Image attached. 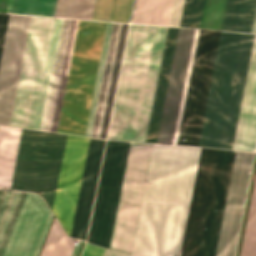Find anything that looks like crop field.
Wrapping results in <instances>:
<instances>
[{"instance_id":"bd1437ed","label":"crop field","mask_w":256,"mask_h":256,"mask_svg":"<svg viewBox=\"0 0 256 256\" xmlns=\"http://www.w3.org/2000/svg\"><path fill=\"white\" fill-rule=\"evenodd\" d=\"M80 246L76 245L75 249H74V252L72 254V256H76L77 252H78V249H79Z\"/></svg>"},{"instance_id":"d3111659","label":"crop field","mask_w":256,"mask_h":256,"mask_svg":"<svg viewBox=\"0 0 256 256\" xmlns=\"http://www.w3.org/2000/svg\"><path fill=\"white\" fill-rule=\"evenodd\" d=\"M12 0H0V12L9 13Z\"/></svg>"},{"instance_id":"ac0d7876","label":"crop field","mask_w":256,"mask_h":256,"mask_svg":"<svg viewBox=\"0 0 256 256\" xmlns=\"http://www.w3.org/2000/svg\"><path fill=\"white\" fill-rule=\"evenodd\" d=\"M200 150L154 144L133 255L180 256Z\"/></svg>"},{"instance_id":"bc2a9ffb","label":"crop field","mask_w":256,"mask_h":256,"mask_svg":"<svg viewBox=\"0 0 256 256\" xmlns=\"http://www.w3.org/2000/svg\"><path fill=\"white\" fill-rule=\"evenodd\" d=\"M27 192L0 188V256Z\"/></svg>"},{"instance_id":"00972430","label":"crop field","mask_w":256,"mask_h":256,"mask_svg":"<svg viewBox=\"0 0 256 256\" xmlns=\"http://www.w3.org/2000/svg\"><path fill=\"white\" fill-rule=\"evenodd\" d=\"M77 240L68 238L54 220L40 256H71Z\"/></svg>"},{"instance_id":"4a817a6b","label":"crop field","mask_w":256,"mask_h":256,"mask_svg":"<svg viewBox=\"0 0 256 256\" xmlns=\"http://www.w3.org/2000/svg\"><path fill=\"white\" fill-rule=\"evenodd\" d=\"M255 10L256 0H227L221 30L251 32ZM252 32L256 33V15Z\"/></svg>"},{"instance_id":"cbeb9de0","label":"crop field","mask_w":256,"mask_h":256,"mask_svg":"<svg viewBox=\"0 0 256 256\" xmlns=\"http://www.w3.org/2000/svg\"><path fill=\"white\" fill-rule=\"evenodd\" d=\"M52 217L43 200L28 192L2 256H37Z\"/></svg>"},{"instance_id":"730fd06b","label":"crop field","mask_w":256,"mask_h":256,"mask_svg":"<svg viewBox=\"0 0 256 256\" xmlns=\"http://www.w3.org/2000/svg\"><path fill=\"white\" fill-rule=\"evenodd\" d=\"M56 0H13L10 13L53 16Z\"/></svg>"},{"instance_id":"412701ff","label":"crop field","mask_w":256,"mask_h":256,"mask_svg":"<svg viewBox=\"0 0 256 256\" xmlns=\"http://www.w3.org/2000/svg\"><path fill=\"white\" fill-rule=\"evenodd\" d=\"M199 30L180 28L157 143L176 145ZM220 32L200 30L177 145L197 146Z\"/></svg>"},{"instance_id":"214f88e0","label":"crop field","mask_w":256,"mask_h":256,"mask_svg":"<svg viewBox=\"0 0 256 256\" xmlns=\"http://www.w3.org/2000/svg\"><path fill=\"white\" fill-rule=\"evenodd\" d=\"M21 129L0 126V186H10Z\"/></svg>"},{"instance_id":"eef30255","label":"crop field","mask_w":256,"mask_h":256,"mask_svg":"<svg viewBox=\"0 0 256 256\" xmlns=\"http://www.w3.org/2000/svg\"><path fill=\"white\" fill-rule=\"evenodd\" d=\"M226 0H207L201 28L220 30Z\"/></svg>"},{"instance_id":"3316defc","label":"crop field","mask_w":256,"mask_h":256,"mask_svg":"<svg viewBox=\"0 0 256 256\" xmlns=\"http://www.w3.org/2000/svg\"><path fill=\"white\" fill-rule=\"evenodd\" d=\"M54 20L31 18L10 126L33 127Z\"/></svg>"},{"instance_id":"750c4746","label":"crop field","mask_w":256,"mask_h":256,"mask_svg":"<svg viewBox=\"0 0 256 256\" xmlns=\"http://www.w3.org/2000/svg\"><path fill=\"white\" fill-rule=\"evenodd\" d=\"M103 256H130V255H125V254H121V253H116L113 252L111 250H105L104 255Z\"/></svg>"},{"instance_id":"34b2d1b8","label":"crop field","mask_w":256,"mask_h":256,"mask_svg":"<svg viewBox=\"0 0 256 256\" xmlns=\"http://www.w3.org/2000/svg\"><path fill=\"white\" fill-rule=\"evenodd\" d=\"M130 143L108 141L87 241L110 246ZM153 144L131 143L111 249L132 252Z\"/></svg>"},{"instance_id":"28ad6ade","label":"crop field","mask_w":256,"mask_h":256,"mask_svg":"<svg viewBox=\"0 0 256 256\" xmlns=\"http://www.w3.org/2000/svg\"><path fill=\"white\" fill-rule=\"evenodd\" d=\"M112 25L113 23H108L107 25L97 80L95 84V89H94V94H93V99H92V104H91V109H90V114H89L86 134H85V136H88V137H90L91 135V130L93 125ZM127 26L128 24H122V23H114L113 25V30H112V35H111V40H110V45H109V50H108V55H107V60H106V65H105V70H104V75H103V80H102V85H101V90H100V95H99L91 137H97V138H103V139H105L106 137Z\"/></svg>"},{"instance_id":"5142ce71","label":"crop field","mask_w":256,"mask_h":256,"mask_svg":"<svg viewBox=\"0 0 256 256\" xmlns=\"http://www.w3.org/2000/svg\"><path fill=\"white\" fill-rule=\"evenodd\" d=\"M216 152L201 150L181 256H196Z\"/></svg>"},{"instance_id":"dafd665d","label":"crop field","mask_w":256,"mask_h":256,"mask_svg":"<svg viewBox=\"0 0 256 256\" xmlns=\"http://www.w3.org/2000/svg\"><path fill=\"white\" fill-rule=\"evenodd\" d=\"M206 0H173L168 26L200 28Z\"/></svg>"},{"instance_id":"5a996713","label":"crop field","mask_w":256,"mask_h":256,"mask_svg":"<svg viewBox=\"0 0 256 256\" xmlns=\"http://www.w3.org/2000/svg\"><path fill=\"white\" fill-rule=\"evenodd\" d=\"M77 22L55 20L33 129L56 132Z\"/></svg>"},{"instance_id":"733c2abd","label":"crop field","mask_w":256,"mask_h":256,"mask_svg":"<svg viewBox=\"0 0 256 256\" xmlns=\"http://www.w3.org/2000/svg\"><path fill=\"white\" fill-rule=\"evenodd\" d=\"M179 28L168 27L145 142L156 143Z\"/></svg>"},{"instance_id":"f4fd0767","label":"crop field","mask_w":256,"mask_h":256,"mask_svg":"<svg viewBox=\"0 0 256 256\" xmlns=\"http://www.w3.org/2000/svg\"><path fill=\"white\" fill-rule=\"evenodd\" d=\"M166 29L131 24L108 139L144 142Z\"/></svg>"},{"instance_id":"e52e79f7","label":"crop field","mask_w":256,"mask_h":256,"mask_svg":"<svg viewBox=\"0 0 256 256\" xmlns=\"http://www.w3.org/2000/svg\"><path fill=\"white\" fill-rule=\"evenodd\" d=\"M106 25L78 22L57 132L84 136Z\"/></svg>"},{"instance_id":"d8731c3e","label":"crop field","mask_w":256,"mask_h":256,"mask_svg":"<svg viewBox=\"0 0 256 256\" xmlns=\"http://www.w3.org/2000/svg\"><path fill=\"white\" fill-rule=\"evenodd\" d=\"M65 137L22 129L10 188L37 192L52 208Z\"/></svg>"},{"instance_id":"92a150f3","label":"crop field","mask_w":256,"mask_h":256,"mask_svg":"<svg viewBox=\"0 0 256 256\" xmlns=\"http://www.w3.org/2000/svg\"><path fill=\"white\" fill-rule=\"evenodd\" d=\"M172 0H136L131 23L167 26Z\"/></svg>"},{"instance_id":"dd49c442","label":"crop field","mask_w":256,"mask_h":256,"mask_svg":"<svg viewBox=\"0 0 256 256\" xmlns=\"http://www.w3.org/2000/svg\"><path fill=\"white\" fill-rule=\"evenodd\" d=\"M254 153L218 150L197 256H234Z\"/></svg>"},{"instance_id":"22f410ed","label":"crop field","mask_w":256,"mask_h":256,"mask_svg":"<svg viewBox=\"0 0 256 256\" xmlns=\"http://www.w3.org/2000/svg\"><path fill=\"white\" fill-rule=\"evenodd\" d=\"M31 16L10 15L0 62V125L10 114Z\"/></svg>"},{"instance_id":"4177f3b9","label":"crop field","mask_w":256,"mask_h":256,"mask_svg":"<svg viewBox=\"0 0 256 256\" xmlns=\"http://www.w3.org/2000/svg\"><path fill=\"white\" fill-rule=\"evenodd\" d=\"M240 256H256V180Z\"/></svg>"},{"instance_id":"d1516ede","label":"crop field","mask_w":256,"mask_h":256,"mask_svg":"<svg viewBox=\"0 0 256 256\" xmlns=\"http://www.w3.org/2000/svg\"><path fill=\"white\" fill-rule=\"evenodd\" d=\"M89 138L67 135L52 211L70 235Z\"/></svg>"},{"instance_id":"ae1a2a85","label":"crop field","mask_w":256,"mask_h":256,"mask_svg":"<svg viewBox=\"0 0 256 256\" xmlns=\"http://www.w3.org/2000/svg\"><path fill=\"white\" fill-rule=\"evenodd\" d=\"M9 15L0 14V57Z\"/></svg>"},{"instance_id":"a9b5d70f","label":"crop field","mask_w":256,"mask_h":256,"mask_svg":"<svg viewBox=\"0 0 256 256\" xmlns=\"http://www.w3.org/2000/svg\"><path fill=\"white\" fill-rule=\"evenodd\" d=\"M95 0H58L54 16L91 19Z\"/></svg>"},{"instance_id":"d9b57169","label":"crop field","mask_w":256,"mask_h":256,"mask_svg":"<svg viewBox=\"0 0 256 256\" xmlns=\"http://www.w3.org/2000/svg\"><path fill=\"white\" fill-rule=\"evenodd\" d=\"M105 141L90 138L73 223V238H86Z\"/></svg>"},{"instance_id":"8a807250","label":"crop field","mask_w":256,"mask_h":256,"mask_svg":"<svg viewBox=\"0 0 256 256\" xmlns=\"http://www.w3.org/2000/svg\"><path fill=\"white\" fill-rule=\"evenodd\" d=\"M255 35L221 32L199 144L232 149ZM256 144V37L233 149Z\"/></svg>"}]
</instances>
